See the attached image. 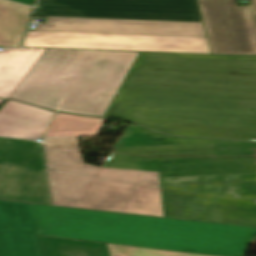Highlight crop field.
<instances>
[{"instance_id":"28ad6ade","label":"crop field","mask_w":256,"mask_h":256,"mask_svg":"<svg viewBox=\"0 0 256 256\" xmlns=\"http://www.w3.org/2000/svg\"><path fill=\"white\" fill-rule=\"evenodd\" d=\"M54 112L8 100L0 111V136L41 139Z\"/></svg>"},{"instance_id":"dd49c442","label":"crop field","mask_w":256,"mask_h":256,"mask_svg":"<svg viewBox=\"0 0 256 256\" xmlns=\"http://www.w3.org/2000/svg\"><path fill=\"white\" fill-rule=\"evenodd\" d=\"M34 30L206 37L203 23L48 17Z\"/></svg>"},{"instance_id":"22f410ed","label":"crop field","mask_w":256,"mask_h":256,"mask_svg":"<svg viewBox=\"0 0 256 256\" xmlns=\"http://www.w3.org/2000/svg\"><path fill=\"white\" fill-rule=\"evenodd\" d=\"M2 161L37 171L47 166L43 145L33 141L0 138V162Z\"/></svg>"},{"instance_id":"8a807250","label":"crop field","mask_w":256,"mask_h":256,"mask_svg":"<svg viewBox=\"0 0 256 256\" xmlns=\"http://www.w3.org/2000/svg\"><path fill=\"white\" fill-rule=\"evenodd\" d=\"M39 234L117 245L243 256L255 227L31 204Z\"/></svg>"},{"instance_id":"f4fd0767","label":"crop field","mask_w":256,"mask_h":256,"mask_svg":"<svg viewBox=\"0 0 256 256\" xmlns=\"http://www.w3.org/2000/svg\"><path fill=\"white\" fill-rule=\"evenodd\" d=\"M213 54L256 55V29L249 6L235 0H198Z\"/></svg>"},{"instance_id":"34b2d1b8","label":"crop field","mask_w":256,"mask_h":256,"mask_svg":"<svg viewBox=\"0 0 256 256\" xmlns=\"http://www.w3.org/2000/svg\"><path fill=\"white\" fill-rule=\"evenodd\" d=\"M57 206L163 217L158 172L84 164L77 138H46Z\"/></svg>"},{"instance_id":"ac0d7876","label":"crop field","mask_w":256,"mask_h":256,"mask_svg":"<svg viewBox=\"0 0 256 256\" xmlns=\"http://www.w3.org/2000/svg\"><path fill=\"white\" fill-rule=\"evenodd\" d=\"M138 54L47 49L9 98L104 117Z\"/></svg>"},{"instance_id":"5a996713","label":"crop field","mask_w":256,"mask_h":256,"mask_svg":"<svg viewBox=\"0 0 256 256\" xmlns=\"http://www.w3.org/2000/svg\"><path fill=\"white\" fill-rule=\"evenodd\" d=\"M0 199L56 206L50 167L37 172L0 163Z\"/></svg>"},{"instance_id":"cbeb9de0","label":"crop field","mask_w":256,"mask_h":256,"mask_svg":"<svg viewBox=\"0 0 256 256\" xmlns=\"http://www.w3.org/2000/svg\"><path fill=\"white\" fill-rule=\"evenodd\" d=\"M31 7L0 0V46H19Z\"/></svg>"},{"instance_id":"dafd665d","label":"crop field","mask_w":256,"mask_h":256,"mask_svg":"<svg viewBox=\"0 0 256 256\" xmlns=\"http://www.w3.org/2000/svg\"><path fill=\"white\" fill-rule=\"evenodd\" d=\"M253 17H254V21H255V25H256V13H253Z\"/></svg>"},{"instance_id":"00972430","label":"crop field","mask_w":256,"mask_h":256,"mask_svg":"<svg viewBox=\"0 0 256 256\" xmlns=\"http://www.w3.org/2000/svg\"><path fill=\"white\" fill-rule=\"evenodd\" d=\"M4 101H5V100L0 99V106H1V104H2Z\"/></svg>"},{"instance_id":"5142ce71","label":"crop field","mask_w":256,"mask_h":256,"mask_svg":"<svg viewBox=\"0 0 256 256\" xmlns=\"http://www.w3.org/2000/svg\"><path fill=\"white\" fill-rule=\"evenodd\" d=\"M105 120L56 113L46 137L97 136Z\"/></svg>"},{"instance_id":"d8731c3e","label":"crop field","mask_w":256,"mask_h":256,"mask_svg":"<svg viewBox=\"0 0 256 256\" xmlns=\"http://www.w3.org/2000/svg\"><path fill=\"white\" fill-rule=\"evenodd\" d=\"M187 43L27 37V47H62L211 54L206 38L186 37Z\"/></svg>"},{"instance_id":"d1516ede","label":"crop field","mask_w":256,"mask_h":256,"mask_svg":"<svg viewBox=\"0 0 256 256\" xmlns=\"http://www.w3.org/2000/svg\"><path fill=\"white\" fill-rule=\"evenodd\" d=\"M45 51L35 48H4L0 51V98L10 96Z\"/></svg>"},{"instance_id":"214f88e0","label":"crop field","mask_w":256,"mask_h":256,"mask_svg":"<svg viewBox=\"0 0 256 256\" xmlns=\"http://www.w3.org/2000/svg\"><path fill=\"white\" fill-rule=\"evenodd\" d=\"M164 1H186V2H197V0H164Z\"/></svg>"},{"instance_id":"bc2a9ffb","label":"crop field","mask_w":256,"mask_h":256,"mask_svg":"<svg viewBox=\"0 0 256 256\" xmlns=\"http://www.w3.org/2000/svg\"><path fill=\"white\" fill-rule=\"evenodd\" d=\"M253 11H256V0H250Z\"/></svg>"},{"instance_id":"3316defc","label":"crop field","mask_w":256,"mask_h":256,"mask_svg":"<svg viewBox=\"0 0 256 256\" xmlns=\"http://www.w3.org/2000/svg\"><path fill=\"white\" fill-rule=\"evenodd\" d=\"M45 256H205L39 236Z\"/></svg>"},{"instance_id":"4a817a6b","label":"crop field","mask_w":256,"mask_h":256,"mask_svg":"<svg viewBox=\"0 0 256 256\" xmlns=\"http://www.w3.org/2000/svg\"><path fill=\"white\" fill-rule=\"evenodd\" d=\"M125 139H126V137L122 135V137L120 138V140L118 141V143L116 144V146L121 145V144L124 142ZM116 146H115V147H116ZM114 149H115V148H114ZM113 151H114V150H113ZM112 153H113V152H112ZM111 157H112V154H111V156L109 157L108 160H110ZM108 160H107V161H108Z\"/></svg>"},{"instance_id":"92a150f3","label":"crop field","mask_w":256,"mask_h":256,"mask_svg":"<svg viewBox=\"0 0 256 256\" xmlns=\"http://www.w3.org/2000/svg\"><path fill=\"white\" fill-rule=\"evenodd\" d=\"M241 140H254V141H256V139H252V138H242Z\"/></svg>"},{"instance_id":"733c2abd","label":"crop field","mask_w":256,"mask_h":256,"mask_svg":"<svg viewBox=\"0 0 256 256\" xmlns=\"http://www.w3.org/2000/svg\"><path fill=\"white\" fill-rule=\"evenodd\" d=\"M11 1L19 2V3L31 5V6H33L35 2V0H11Z\"/></svg>"},{"instance_id":"e52e79f7","label":"crop field","mask_w":256,"mask_h":256,"mask_svg":"<svg viewBox=\"0 0 256 256\" xmlns=\"http://www.w3.org/2000/svg\"><path fill=\"white\" fill-rule=\"evenodd\" d=\"M30 204L0 201V256H44Z\"/></svg>"},{"instance_id":"d9b57169","label":"crop field","mask_w":256,"mask_h":256,"mask_svg":"<svg viewBox=\"0 0 256 256\" xmlns=\"http://www.w3.org/2000/svg\"><path fill=\"white\" fill-rule=\"evenodd\" d=\"M27 36L186 42L185 37L29 31Z\"/></svg>"},{"instance_id":"412701ff","label":"crop field","mask_w":256,"mask_h":256,"mask_svg":"<svg viewBox=\"0 0 256 256\" xmlns=\"http://www.w3.org/2000/svg\"><path fill=\"white\" fill-rule=\"evenodd\" d=\"M35 15L203 22L197 3L142 0H40Z\"/></svg>"}]
</instances>
